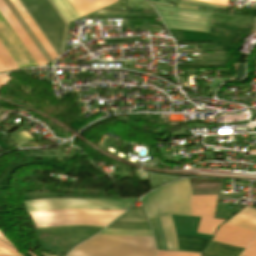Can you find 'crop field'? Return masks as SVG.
<instances>
[{
    "label": "crop field",
    "mask_w": 256,
    "mask_h": 256,
    "mask_svg": "<svg viewBox=\"0 0 256 256\" xmlns=\"http://www.w3.org/2000/svg\"><path fill=\"white\" fill-rule=\"evenodd\" d=\"M256 239V238H255Z\"/></svg>",
    "instance_id": "29"
},
{
    "label": "crop field",
    "mask_w": 256,
    "mask_h": 256,
    "mask_svg": "<svg viewBox=\"0 0 256 256\" xmlns=\"http://www.w3.org/2000/svg\"><path fill=\"white\" fill-rule=\"evenodd\" d=\"M137 199L138 198L126 200L59 198L27 201L25 203L28 212L77 208L127 209Z\"/></svg>",
    "instance_id": "4"
},
{
    "label": "crop field",
    "mask_w": 256,
    "mask_h": 256,
    "mask_svg": "<svg viewBox=\"0 0 256 256\" xmlns=\"http://www.w3.org/2000/svg\"><path fill=\"white\" fill-rule=\"evenodd\" d=\"M0 12L15 31L20 40L23 42L28 51L31 53L33 58L39 64V66L48 64L2 0H0Z\"/></svg>",
    "instance_id": "9"
},
{
    "label": "crop field",
    "mask_w": 256,
    "mask_h": 256,
    "mask_svg": "<svg viewBox=\"0 0 256 256\" xmlns=\"http://www.w3.org/2000/svg\"><path fill=\"white\" fill-rule=\"evenodd\" d=\"M98 235L152 237L151 230L105 229Z\"/></svg>",
    "instance_id": "13"
},
{
    "label": "crop field",
    "mask_w": 256,
    "mask_h": 256,
    "mask_svg": "<svg viewBox=\"0 0 256 256\" xmlns=\"http://www.w3.org/2000/svg\"><path fill=\"white\" fill-rule=\"evenodd\" d=\"M178 250L203 252L209 240L199 237L176 235ZM211 241V240H210Z\"/></svg>",
    "instance_id": "11"
},
{
    "label": "crop field",
    "mask_w": 256,
    "mask_h": 256,
    "mask_svg": "<svg viewBox=\"0 0 256 256\" xmlns=\"http://www.w3.org/2000/svg\"><path fill=\"white\" fill-rule=\"evenodd\" d=\"M65 228H86V229H96V230L103 229L98 227H87V226H69V227H57V228H43V229H36V230L65 229Z\"/></svg>",
    "instance_id": "21"
},
{
    "label": "crop field",
    "mask_w": 256,
    "mask_h": 256,
    "mask_svg": "<svg viewBox=\"0 0 256 256\" xmlns=\"http://www.w3.org/2000/svg\"><path fill=\"white\" fill-rule=\"evenodd\" d=\"M154 220H155L157 228L159 230L160 239H161V243H162V248H163V250H168L167 249V245H166V241H165V237H164V233H163V229H162V226H161L160 219L158 217V218H155Z\"/></svg>",
    "instance_id": "20"
},
{
    "label": "crop field",
    "mask_w": 256,
    "mask_h": 256,
    "mask_svg": "<svg viewBox=\"0 0 256 256\" xmlns=\"http://www.w3.org/2000/svg\"><path fill=\"white\" fill-rule=\"evenodd\" d=\"M242 248L212 241L203 256H239Z\"/></svg>",
    "instance_id": "12"
},
{
    "label": "crop field",
    "mask_w": 256,
    "mask_h": 256,
    "mask_svg": "<svg viewBox=\"0 0 256 256\" xmlns=\"http://www.w3.org/2000/svg\"><path fill=\"white\" fill-rule=\"evenodd\" d=\"M192 216L201 217L198 232L214 235L215 229L225 220L214 219L217 195L192 196Z\"/></svg>",
    "instance_id": "8"
},
{
    "label": "crop field",
    "mask_w": 256,
    "mask_h": 256,
    "mask_svg": "<svg viewBox=\"0 0 256 256\" xmlns=\"http://www.w3.org/2000/svg\"><path fill=\"white\" fill-rule=\"evenodd\" d=\"M156 256H200V254L185 253V252L157 251Z\"/></svg>",
    "instance_id": "19"
},
{
    "label": "crop field",
    "mask_w": 256,
    "mask_h": 256,
    "mask_svg": "<svg viewBox=\"0 0 256 256\" xmlns=\"http://www.w3.org/2000/svg\"><path fill=\"white\" fill-rule=\"evenodd\" d=\"M180 192L185 200L188 209L150 217L151 215L187 208L181 194L171 195ZM165 195L171 196L145 201L151 213L150 215L144 200ZM141 201L144 205V208L149 219L160 216L169 250H177L176 237L170 214L191 216L192 201L188 179L169 183L144 196L143 198H141Z\"/></svg>",
    "instance_id": "1"
},
{
    "label": "crop field",
    "mask_w": 256,
    "mask_h": 256,
    "mask_svg": "<svg viewBox=\"0 0 256 256\" xmlns=\"http://www.w3.org/2000/svg\"><path fill=\"white\" fill-rule=\"evenodd\" d=\"M0 238L13 246L0 232ZM14 247V246H13ZM12 247V248H13ZM8 245L4 244L3 242L0 241V254H6V255H13V256H22L19 252L16 250L12 249ZM15 248V247H14ZM16 249V248H15Z\"/></svg>",
    "instance_id": "17"
},
{
    "label": "crop field",
    "mask_w": 256,
    "mask_h": 256,
    "mask_svg": "<svg viewBox=\"0 0 256 256\" xmlns=\"http://www.w3.org/2000/svg\"><path fill=\"white\" fill-rule=\"evenodd\" d=\"M153 6L167 28L209 32L207 26H209L213 15L211 13ZM170 12H173V14L169 15Z\"/></svg>",
    "instance_id": "6"
},
{
    "label": "crop field",
    "mask_w": 256,
    "mask_h": 256,
    "mask_svg": "<svg viewBox=\"0 0 256 256\" xmlns=\"http://www.w3.org/2000/svg\"><path fill=\"white\" fill-rule=\"evenodd\" d=\"M152 238L94 236L68 256H155Z\"/></svg>",
    "instance_id": "2"
},
{
    "label": "crop field",
    "mask_w": 256,
    "mask_h": 256,
    "mask_svg": "<svg viewBox=\"0 0 256 256\" xmlns=\"http://www.w3.org/2000/svg\"><path fill=\"white\" fill-rule=\"evenodd\" d=\"M49 144H51V143H49L47 141H43V142H38V143L21 145V148L38 147V146H44V145H49Z\"/></svg>",
    "instance_id": "22"
},
{
    "label": "crop field",
    "mask_w": 256,
    "mask_h": 256,
    "mask_svg": "<svg viewBox=\"0 0 256 256\" xmlns=\"http://www.w3.org/2000/svg\"><path fill=\"white\" fill-rule=\"evenodd\" d=\"M96 230L66 229L36 232L37 239L46 251L61 254L67 253L76 244L96 234Z\"/></svg>",
    "instance_id": "5"
},
{
    "label": "crop field",
    "mask_w": 256,
    "mask_h": 256,
    "mask_svg": "<svg viewBox=\"0 0 256 256\" xmlns=\"http://www.w3.org/2000/svg\"><path fill=\"white\" fill-rule=\"evenodd\" d=\"M248 247L256 249V245L250 244Z\"/></svg>",
    "instance_id": "27"
},
{
    "label": "crop field",
    "mask_w": 256,
    "mask_h": 256,
    "mask_svg": "<svg viewBox=\"0 0 256 256\" xmlns=\"http://www.w3.org/2000/svg\"><path fill=\"white\" fill-rule=\"evenodd\" d=\"M1 256V255H0Z\"/></svg>",
    "instance_id": "28"
},
{
    "label": "crop field",
    "mask_w": 256,
    "mask_h": 256,
    "mask_svg": "<svg viewBox=\"0 0 256 256\" xmlns=\"http://www.w3.org/2000/svg\"><path fill=\"white\" fill-rule=\"evenodd\" d=\"M242 255H244V256H256V250L247 248Z\"/></svg>",
    "instance_id": "25"
},
{
    "label": "crop field",
    "mask_w": 256,
    "mask_h": 256,
    "mask_svg": "<svg viewBox=\"0 0 256 256\" xmlns=\"http://www.w3.org/2000/svg\"><path fill=\"white\" fill-rule=\"evenodd\" d=\"M198 6L208 7V8H215V9H219V8L226 9V7H222V6L210 5V4H204V3H197V2H190V1H182V0H178V6L177 7L197 10Z\"/></svg>",
    "instance_id": "15"
},
{
    "label": "crop field",
    "mask_w": 256,
    "mask_h": 256,
    "mask_svg": "<svg viewBox=\"0 0 256 256\" xmlns=\"http://www.w3.org/2000/svg\"><path fill=\"white\" fill-rule=\"evenodd\" d=\"M0 43L19 68L37 65L1 14Z\"/></svg>",
    "instance_id": "7"
},
{
    "label": "crop field",
    "mask_w": 256,
    "mask_h": 256,
    "mask_svg": "<svg viewBox=\"0 0 256 256\" xmlns=\"http://www.w3.org/2000/svg\"><path fill=\"white\" fill-rule=\"evenodd\" d=\"M5 71H6V69L3 67V65L0 62V72H5Z\"/></svg>",
    "instance_id": "26"
},
{
    "label": "crop field",
    "mask_w": 256,
    "mask_h": 256,
    "mask_svg": "<svg viewBox=\"0 0 256 256\" xmlns=\"http://www.w3.org/2000/svg\"><path fill=\"white\" fill-rule=\"evenodd\" d=\"M11 138L14 140V142H15L17 145H21V144H23V143H25V142H27V141L33 139V137L30 136V135H29L28 133H26L25 131H23V132H21V133L15 135V136H13V137H11Z\"/></svg>",
    "instance_id": "18"
},
{
    "label": "crop field",
    "mask_w": 256,
    "mask_h": 256,
    "mask_svg": "<svg viewBox=\"0 0 256 256\" xmlns=\"http://www.w3.org/2000/svg\"><path fill=\"white\" fill-rule=\"evenodd\" d=\"M12 79L9 78L7 75H0V89L5 86L9 81Z\"/></svg>",
    "instance_id": "23"
},
{
    "label": "crop field",
    "mask_w": 256,
    "mask_h": 256,
    "mask_svg": "<svg viewBox=\"0 0 256 256\" xmlns=\"http://www.w3.org/2000/svg\"><path fill=\"white\" fill-rule=\"evenodd\" d=\"M125 210H56L29 213L36 228L68 225L105 227Z\"/></svg>",
    "instance_id": "3"
},
{
    "label": "crop field",
    "mask_w": 256,
    "mask_h": 256,
    "mask_svg": "<svg viewBox=\"0 0 256 256\" xmlns=\"http://www.w3.org/2000/svg\"><path fill=\"white\" fill-rule=\"evenodd\" d=\"M0 61L4 65V67L7 69V71L18 69L17 66L14 64L12 59L9 57V55L6 53L4 48L0 44Z\"/></svg>",
    "instance_id": "16"
},
{
    "label": "crop field",
    "mask_w": 256,
    "mask_h": 256,
    "mask_svg": "<svg viewBox=\"0 0 256 256\" xmlns=\"http://www.w3.org/2000/svg\"><path fill=\"white\" fill-rule=\"evenodd\" d=\"M54 4L57 6L59 11L62 13L67 22H71L80 18V15L74 9L69 0H52Z\"/></svg>",
    "instance_id": "14"
},
{
    "label": "crop field",
    "mask_w": 256,
    "mask_h": 256,
    "mask_svg": "<svg viewBox=\"0 0 256 256\" xmlns=\"http://www.w3.org/2000/svg\"><path fill=\"white\" fill-rule=\"evenodd\" d=\"M226 224L256 232V210L247 206Z\"/></svg>",
    "instance_id": "10"
},
{
    "label": "crop field",
    "mask_w": 256,
    "mask_h": 256,
    "mask_svg": "<svg viewBox=\"0 0 256 256\" xmlns=\"http://www.w3.org/2000/svg\"><path fill=\"white\" fill-rule=\"evenodd\" d=\"M149 1H150V3H156V4H164V5L174 6L173 4L164 2V1H162V0H149ZM165 1H170V2L176 3L177 0H165Z\"/></svg>",
    "instance_id": "24"
}]
</instances>
